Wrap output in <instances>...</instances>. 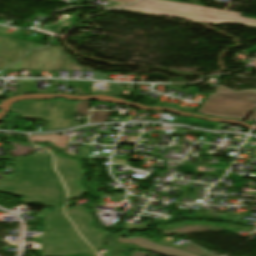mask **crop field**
I'll return each instance as SVG.
<instances>
[{
    "label": "crop field",
    "mask_w": 256,
    "mask_h": 256,
    "mask_svg": "<svg viewBox=\"0 0 256 256\" xmlns=\"http://www.w3.org/2000/svg\"><path fill=\"white\" fill-rule=\"evenodd\" d=\"M65 212L93 248L104 244L101 238L108 233L93 228V219L84 207L65 209Z\"/></svg>",
    "instance_id": "d8731c3e"
},
{
    "label": "crop field",
    "mask_w": 256,
    "mask_h": 256,
    "mask_svg": "<svg viewBox=\"0 0 256 256\" xmlns=\"http://www.w3.org/2000/svg\"><path fill=\"white\" fill-rule=\"evenodd\" d=\"M115 1H121V2L131 3V2L136 1V0H115Z\"/></svg>",
    "instance_id": "bc2a9ffb"
},
{
    "label": "crop field",
    "mask_w": 256,
    "mask_h": 256,
    "mask_svg": "<svg viewBox=\"0 0 256 256\" xmlns=\"http://www.w3.org/2000/svg\"><path fill=\"white\" fill-rule=\"evenodd\" d=\"M82 69H87V68L78 65L68 55H66L61 48L55 70H82Z\"/></svg>",
    "instance_id": "d1516ede"
},
{
    "label": "crop field",
    "mask_w": 256,
    "mask_h": 256,
    "mask_svg": "<svg viewBox=\"0 0 256 256\" xmlns=\"http://www.w3.org/2000/svg\"><path fill=\"white\" fill-rule=\"evenodd\" d=\"M0 192L23 196L22 200L63 208L66 193L52 167L49 153L14 160L10 179H0Z\"/></svg>",
    "instance_id": "8a807250"
},
{
    "label": "crop field",
    "mask_w": 256,
    "mask_h": 256,
    "mask_svg": "<svg viewBox=\"0 0 256 256\" xmlns=\"http://www.w3.org/2000/svg\"><path fill=\"white\" fill-rule=\"evenodd\" d=\"M118 242L120 243H133L139 247H142L146 250H149L151 252H155L158 254L166 255V256H195L189 253H186L182 250H177V249H171V248H166L162 247L158 244L152 243L146 238L143 237H135V238H122V237H117ZM123 240V241H121Z\"/></svg>",
    "instance_id": "3316defc"
},
{
    "label": "crop field",
    "mask_w": 256,
    "mask_h": 256,
    "mask_svg": "<svg viewBox=\"0 0 256 256\" xmlns=\"http://www.w3.org/2000/svg\"><path fill=\"white\" fill-rule=\"evenodd\" d=\"M91 249L61 211L47 212L42 256L89 253Z\"/></svg>",
    "instance_id": "34b2d1b8"
},
{
    "label": "crop field",
    "mask_w": 256,
    "mask_h": 256,
    "mask_svg": "<svg viewBox=\"0 0 256 256\" xmlns=\"http://www.w3.org/2000/svg\"><path fill=\"white\" fill-rule=\"evenodd\" d=\"M32 142H45L49 141L52 145L57 146L62 149H66L67 141L70 136L64 135H44V136H30ZM55 143V144H53Z\"/></svg>",
    "instance_id": "28ad6ade"
},
{
    "label": "crop field",
    "mask_w": 256,
    "mask_h": 256,
    "mask_svg": "<svg viewBox=\"0 0 256 256\" xmlns=\"http://www.w3.org/2000/svg\"><path fill=\"white\" fill-rule=\"evenodd\" d=\"M109 115L108 111H92L90 122L108 121Z\"/></svg>",
    "instance_id": "22f410ed"
},
{
    "label": "crop field",
    "mask_w": 256,
    "mask_h": 256,
    "mask_svg": "<svg viewBox=\"0 0 256 256\" xmlns=\"http://www.w3.org/2000/svg\"><path fill=\"white\" fill-rule=\"evenodd\" d=\"M122 9L210 24L237 23L256 27V19L241 17L242 13L167 0H143Z\"/></svg>",
    "instance_id": "ac0d7876"
},
{
    "label": "crop field",
    "mask_w": 256,
    "mask_h": 256,
    "mask_svg": "<svg viewBox=\"0 0 256 256\" xmlns=\"http://www.w3.org/2000/svg\"><path fill=\"white\" fill-rule=\"evenodd\" d=\"M76 103L54 101L19 102L11 111L23 115L26 119L48 120L47 131L69 128L72 125Z\"/></svg>",
    "instance_id": "f4fd0767"
},
{
    "label": "crop field",
    "mask_w": 256,
    "mask_h": 256,
    "mask_svg": "<svg viewBox=\"0 0 256 256\" xmlns=\"http://www.w3.org/2000/svg\"><path fill=\"white\" fill-rule=\"evenodd\" d=\"M7 143L14 144L16 150L10 151V153H11L14 157H16V156H21V155H28V154L33 150V147H32V146L23 147V146L17 145V144L12 143V142H7Z\"/></svg>",
    "instance_id": "cbeb9de0"
},
{
    "label": "crop field",
    "mask_w": 256,
    "mask_h": 256,
    "mask_svg": "<svg viewBox=\"0 0 256 256\" xmlns=\"http://www.w3.org/2000/svg\"><path fill=\"white\" fill-rule=\"evenodd\" d=\"M61 47L50 46L45 49H38L29 52L21 62L5 69V77L8 69H25V70H52L54 71L57 58Z\"/></svg>",
    "instance_id": "e52e79f7"
},
{
    "label": "crop field",
    "mask_w": 256,
    "mask_h": 256,
    "mask_svg": "<svg viewBox=\"0 0 256 256\" xmlns=\"http://www.w3.org/2000/svg\"><path fill=\"white\" fill-rule=\"evenodd\" d=\"M148 253L146 252H140V251H135L131 256H147Z\"/></svg>",
    "instance_id": "d9b57169"
},
{
    "label": "crop field",
    "mask_w": 256,
    "mask_h": 256,
    "mask_svg": "<svg viewBox=\"0 0 256 256\" xmlns=\"http://www.w3.org/2000/svg\"><path fill=\"white\" fill-rule=\"evenodd\" d=\"M55 155V166L59 175L63 178L68 189V199L80 198L88 190L81 187L79 180L83 177L84 171L81 165L68 157L61 156L52 151Z\"/></svg>",
    "instance_id": "dd49c442"
},
{
    "label": "crop field",
    "mask_w": 256,
    "mask_h": 256,
    "mask_svg": "<svg viewBox=\"0 0 256 256\" xmlns=\"http://www.w3.org/2000/svg\"><path fill=\"white\" fill-rule=\"evenodd\" d=\"M254 51H256V47H253V48H251V49H248V50H245V51H243V52H241V53H244V54H246V55H250L252 52H254Z\"/></svg>",
    "instance_id": "733c2abd"
},
{
    "label": "crop field",
    "mask_w": 256,
    "mask_h": 256,
    "mask_svg": "<svg viewBox=\"0 0 256 256\" xmlns=\"http://www.w3.org/2000/svg\"><path fill=\"white\" fill-rule=\"evenodd\" d=\"M89 105H90V103L88 101L87 102H79L78 105H77L76 112L88 116L89 109H87V108H88Z\"/></svg>",
    "instance_id": "5142ce71"
},
{
    "label": "crop field",
    "mask_w": 256,
    "mask_h": 256,
    "mask_svg": "<svg viewBox=\"0 0 256 256\" xmlns=\"http://www.w3.org/2000/svg\"><path fill=\"white\" fill-rule=\"evenodd\" d=\"M216 87L198 113L244 120L256 106V90L232 91L222 85Z\"/></svg>",
    "instance_id": "412701ff"
},
{
    "label": "crop field",
    "mask_w": 256,
    "mask_h": 256,
    "mask_svg": "<svg viewBox=\"0 0 256 256\" xmlns=\"http://www.w3.org/2000/svg\"><path fill=\"white\" fill-rule=\"evenodd\" d=\"M0 159H11V158L0 157Z\"/></svg>",
    "instance_id": "214f88e0"
},
{
    "label": "crop field",
    "mask_w": 256,
    "mask_h": 256,
    "mask_svg": "<svg viewBox=\"0 0 256 256\" xmlns=\"http://www.w3.org/2000/svg\"><path fill=\"white\" fill-rule=\"evenodd\" d=\"M43 45L0 37V69L18 60L27 50Z\"/></svg>",
    "instance_id": "5a996713"
},
{
    "label": "crop field",
    "mask_w": 256,
    "mask_h": 256,
    "mask_svg": "<svg viewBox=\"0 0 256 256\" xmlns=\"http://www.w3.org/2000/svg\"><path fill=\"white\" fill-rule=\"evenodd\" d=\"M252 119L256 120V114L255 113L251 114V116L248 118L247 122H251Z\"/></svg>",
    "instance_id": "4a817a6b"
}]
</instances>
